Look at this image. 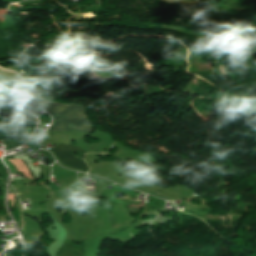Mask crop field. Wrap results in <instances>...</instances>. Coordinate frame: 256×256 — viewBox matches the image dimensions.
<instances>
[{
    "mask_svg": "<svg viewBox=\"0 0 256 256\" xmlns=\"http://www.w3.org/2000/svg\"><path fill=\"white\" fill-rule=\"evenodd\" d=\"M25 88L29 108L34 113L44 109L53 116L54 122L48 132L56 130H74L83 133L92 132L82 106L47 102L41 98L36 90L27 84H25Z\"/></svg>",
    "mask_w": 256,
    "mask_h": 256,
    "instance_id": "8a807250",
    "label": "crop field"
},
{
    "mask_svg": "<svg viewBox=\"0 0 256 256\" xmlns=\"http://www.w3.org/2000/svg\"><path fill=\"white\" fill-rule=\"evenodd\" d=\"M79 148L69 145H57L53 149H51L57 156L58 158L66 165L82 170L88 171V167L85 163H82L78 161L75 157H73L70 153L78 150Z\"/></svg>",
    "mask_w": 256,
    "mask_h": 256,
    "instance_id": "ac0d7876",
    "label": "crop field"
},
{
    "mask_svg": "<svg viewBox=\"0 0 256 256\" xmlns=\"http://www.w3.org/2000/svg\"><path fill=\"white\" fill-rule=\"evenodd\" d=\"M117 210H118V213H119L120 216L129 214L126 207H124V208H119V209H117Z\"/></svg>",
    "mask_w": 256,
    "mask_h": 256,
    "instance_id": "34b2d1b8",
    "label": "crop field"
},
{
    "mask_svg": "<svg viewBox=\"0 0 256 256\" xmlns=\"http://www.w3.org/2000/svg\"><path fill=\"white\" fill-rule=\"evenodd\" d=\"M158 213V211L151 213V214H147V216L152 219L156 214Z\"/></svg>",
    "mask_w": 256,
    "mask_h": 256,
    "instance_id": "412701ff",
    "label": "crop field"
},
{
    "mask_svg": "<svg viewBox=\"0 0 256 256\" xmlns=\"http://www.w3.org/2000/svg\"><path fill=\"white\" fill-rule=\"evenodd\" d=\"M180 205H182V204H180ZM184 205V204H183ZM177 206H179V205H177Z\"/></svg>",
    "mask_w": 256,
    "mask_h": 256,
    "instance_id": "f4fd0767",
    "label": "crop field"
}]
</instances>
